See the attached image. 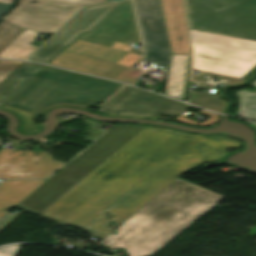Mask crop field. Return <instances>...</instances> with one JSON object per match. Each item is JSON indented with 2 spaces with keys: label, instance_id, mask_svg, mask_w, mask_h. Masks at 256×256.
I'll return each instance as SVG.
<instances>
[{
  "label": "crop field",
  "instance_id": "crop-field-1",
  "mask_svg": "<svg viewBox=\"0 0 256 256\" xmlns=\"http://www.w3.org/2000/svg\"><path fill=\"white\" fill-rule=\"evenodd\" d=\"M159 195V194H158ZM224 197L176 180L96 246L106 253L124 248L130 256H151Z\"/></svg>",
  "mask_w": 256,
  "mask_h": 256
},
{
  "label": "crop field",
  "instance_id": "crop-field-6",
  "mask_svg": "<svg viewBox=\"0 0 256 256\" xmlns=\"http://www.w3.org/2000/svg\"><path fill=\"white\" fill-rule=\"evenodd\" d=\"M146 126L118 124L42 187L24 200L20 210L39 215Z\"/></svg>",
  "mask_w": 256,
  "mask_h": 256
},
{
  "label": "crop field",
  "instance_id": "crop-field-9",
  "mask_svg": "<svg viewBox=\"0 0 256 256\" xmlns=\"http://www.w3.org/2000/svg\"><path fill=\"white\" fill-rule=\"evenodd\" d=\"M107 1L19 0V5L0 23V52L26 28L35 32L54 34L84 5Z\"/></svg>",
  "mask_w": 256,
  "mask_h": 256
},
{
  "label": "crop field",
  "instance_id": "crop-field-11",
  "mask_svg": "<svg viewBox=\"0 0 256 256\" xmlns=\"http://www.w3.org/2000/svg\"><path fill=\"white\" fill-rule=\"evenodd\" d=\"M145 48V61L169 68L172 51L160 0H134Z\"/></svg>",
  "mask_w": 256,
  "mask_h": 256
},
{
  "label": "crop field",
  "instance_id": "crop-field-8",
  "mask_svg": "<svg viewBox=\"0 0 256 256\" xmlns=\"http://www.w3.org/2000/svg\"><path fill=\"white\" fill-rule=\"evenodd\" d=\"M193 67L246 79L256 71V41L189 29Z\"/></svg>",
  "mask_w": 256,
  "mask_h": 256
},
{
  "label": "crop field",
  "instance_id": "crop-field-26",
  "mask_svg": "<svg viewBox=\"0 0 256 256\" xmlns=\"http://www.w3.org/2000/svg\"><path fill=\"white\" fill-rule=\"evenodd\" d=\"M3 141L0 139V144L2 143Z\"/></svg>",
  "mask_w": 256,
  "mask_h": 256
},
{
  "label": "crop field",
  "instance_id": "crop-field-19",
  "mask_svg": "<svg viewBox=\"0 0 256 256\" xmlns=\"http://www.w3.org/2000/svg\"><path fill=\"white\" fill-rule=\"evenodd\" d=\"M42 34L26 29L5 50L0 53V58L27 59L37 49L30 45Z\"/></svg>",
  "mask_w": 256,
  "mask_h": 256
},
{
  "label": "crop field",
  "instance_id": "crop-field-15",
  "mask_svg": "<svg viewBox=\"0 0 256 256\" xmlns=\"http://www.w3.org/2000/svg\"><path fill=\"white\" fill-rule=\"evenodd\" d=\"M173 53L191 55L182 0H161Z\"/></svg>",
  "mask_w": 256,
  "mask_h": 256
},
{
  "label": "crop field",
  "instance_id": "crop-field-25",
  "mask_svg": "<svg viewBox=\"0 0 256 256\" xmlns=\"http://www.w3.org/2000/svg\"><path fill=\"white\" fill-rule=\"evenodd\" d=\"M0 3L12 4V3H13V0H0Z\"/></svg>",
  "mask_w": 256,
  "mask_h": 256
},
{
  "label": "crop field",
  "instance_id": "crop-field-10",
  "mask_svg": "<svg viewBox=\"0 0 256 256\" xmlns=\"http://www.w3.org/2000/svg\"><path fill=\"white\" fill-rule=\"evenodd\" d=\"M189 28L256 40V0H188Z\"/></svg>",
  "mask_w": 256,
  "mask_h": 256
},
{
  "label": "crop field",
  "instance_id": "crop-field-18",
  "mask_svg": "<svg viewBox=\"0 0 256 256\" xmlns=\"http://www.w3.org/2000/svg\"><path fill=\"white\" fill-rule=\"evenodd\" d=\"M45 65L24 62L0 84V107L20 91Z\"/></svg>",
  "mask_w": 256,
  "mask_h": 256
},
{
  "label": "crop field",
  "instance_id": "crop-field-20",
  "mask_svg": "<svg viewBox=\"0 0 256 256\" xmlns=\"http://www.w3.org/2000/svg\"><path fill=\"white\" fill-rule=\"evenodd\" d=\"M250 85L256 88V80ZM240 104L236 116L256 121V89L237 92Z\"/></svg>",
  "mask_w": 256,
  "mask_h": 256
},
{
  "label": "crop field",
  "instance_id": "crop-field-22",
  "mask_svg": "<svg viewBox=\"0 0 256 256\" xmlns=\"http://www.w3.org/2000/svg\"><path fill=\"white\" fill-rule=\"evenodd\" d=\"M200 113H204L206 115L211 116L209 119H207L206 121H204L203 123L199 124L193 120L190 119H186L185 117L181 116L180 118H178V121H182L188 124H192V125H198V126H208V125H212L214 123H216L219 120V115L218 114H214V113H210L207 111H203L201 110Z\"/></svg>",
  "mask_w": 256,
  "mask_h": 256
},
{
  "label": "crop field",
  "instance_id": "crop-field-7",
  "mask_svg": "<svg viewBox=\"0 0 256 256\" xmlns=\"http://www.w3.org/2000/svg\"><path fill=\"white\" fill-rule=\"evenodd\" d=\"M170 131L172 130L147 126L40 214V216L62 223L92 195Z\"/></svg>",
  "mask_w": 256,
  "mask_h": 256
},
{
  "label": "crop field",
  "instance_id": "crop-field-12",
  "mask_svg": "<svg viewBox=\"0 0 256 256\" xmlns=\"http://www.w3.org/2000/svg\"><path fill=\"white\" fill-rule=\"evenodd\" d=\"M187 105L151 92L126 86L98 111L106 114L155 117L159 113L178 115Z\"/></svg>",
  "mask_w": 256,
  "mask_h": 256
},
{
  "label": "crop field",
  "instance_id": "crop-field-4",
  "mask_svg": "<svg viewBox=\"0 0 256 256\" xmlns=\"http://www.w3.org/2000/svg\"><path fill=\"white\" fill-rule=\"evenodd\" d=\"M240 144L241 142L236 139L212 135L199 146L201 157L160 163L83 229L99 239L102 238L110 232L106 229L109 221L120 224L188 168L198 163L219 159L227 153V148L235 149ZM106 211L115 217L107 221L104 218Z\"/></svg>",
  "mask_w": 256,
  "mask_h": 256
},
{
  "label": "crop field",
  "instance_id": "crop-field-2",
  "mask_svg": "<svg viewBox=\"0 0 256 256\" xmlns=\"http://www.w3.org/2000/svg\"><path fill=\"white\" fill-rule=\"evenodd\" d=\"M138 39L132 2L124 1L50 64L132 84L143 73L131 68L141 56L128 52Z\"/></svg>",
  "mask_w": 256,
  "mask_h": 256
},
{
  "label": "crop field",
  "instance_id": "crop-field-23",
  "mask_svg": "<svg viewBox=\"0 0 256 256\" xmlns=\"http://www.w3.org/2000/svg\"><path fill=\"white\" fill-rule=\"evenodd\" d=\"M21 245L0 248V256H16Z\"/></svg>",
  "mask_w": 256,
  "mask_h": 256
},
{
  "label": "crop field",
  "instance_id": "crop-field-24",
  "mask_svg": "<svg viewBox=\"0 0 256 256\" xmlns=\"http://www.w3.org/2000/svg\"><path fill=\"white\" fill-rule=\"evenodd\" d=\"M13 5L0 4V19L12 8Z\"/></svg>",
  "mask_w": 256,
  "mask_h": 256
},
{
  "label": "crop field",
  "instance_id": "crop-field-17",
  "mask_svg": "<svg viewBox=\"0 0 256 256\" xmlns=\"http://www.w3.org/2000/svg\"><path fill=\"white\" fill-rule=\"evenodd\" d=\"M191 56L173 54L164 94L185 101Z\"/></svg>",
  "mask_w": 256,
  "mask_h": 256
},
{
  "label": "crop field",
  "instance_id": "crop-field-5",
  "mask_svg": "<svg viewBox=\"0 0 256 256\" xmlns=\"http://www.w3.org/2000/svg\"><path fill=\"white\" fill-rule=\"evenodd\" d=\"M208 137L173 130L92 196L63 224L82 228L160 162L200 156L198 146Z\"/></svg>",
  "mask_w": 256,
  "mask_h": 256
},
{
  "label": "crop field",
  "instance_id": "crop-field-3",
  "mask_svg": "<svg viewBox=\"0 0 256 256\" xmlns=\"http://www.w3.org/2000/svg\"><path fill=\"white\" fill-rule=\"evenodd\" d=\"M123 86L47 66L5 106L36 115L44 108L57 103L94 106L103 100L107 101Z\"/></svg>",
  "mask_w": 256,
  "mask_h": 256
},
{
  "label": "crop field",
  "instance_id": "crop-field-16",
  "mask_svg": "<svg viewBox=\"0 0 256 256\" xmlns=\"http://www.w3.org/2000/svg\"><path fill=\"white\" fill-rule=\"evenodd\" d=\"M46 180H10L0 185V218Z\"/></svg>",
  "mask_w": 256,
  "mask_h": 256
},
{
  "label": "crop field",
  "instance_id": "crop-field-21",
  "mask_svg": "<svg viewBox=\"0 0 256 256\" xmlns=\"http://www.w3.org/2000/svg\"><path fill=\"white\" fill-rule=\"evenodd\" d=\"M22 63L17 61H0V83Z\"/></svg>",
  "mask_w": 256,
  "mask_h": 256
},
{
  "label": "crop field",
  "instance_id": "crop-field-13",
  "mask_svg": "<svg viewBox=\"0 0 256 256\" xmlns=\"http://www.w3.org/2000/svg\"><path fill=\"white\" fill-rule=\"evenodd\" d=\"M122 2L123 1L90 6L83 9L36 53H34L29 60L49 63L84 32L90 33Z\"/></svg>",
  "mask_w": 256,
  "mask_h": 256
},
{
  "label": "crop field",
  "instance_id": "crop-field-14",
  "mask_svg": "<svg viewBox=\"0 0 256 256\" xmlns=\"http://www.w3.org/2000/svg\"><path fill=\"white\" fill-rule=\"evenodd\" d=\"M63 164L48 152L0 150V178H46Z\"/></svg>",
  "mask_w": 256,
  "mask_h": 256
}]
</instances>
